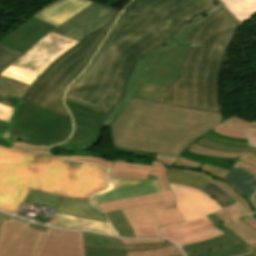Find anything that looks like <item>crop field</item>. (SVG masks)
Wrapping results in <instances>:
<instances>
[{
	"instance_id": "3",
	"label": "crop field",
	"mask_w": 256,
	"mask_h": 256,
	"mask_svg": "<svg viewBox=\"0 0 256 256\" xmlns=\"http://www.w3.org/2000/svg\"><path fill=\"white\" fill-rule=\"evenodd\" d=\"M107 175L108 170L97 166L0 146V210L14 213L29 188L89 199L108 187Z\"/></svg>"
},
{
	"instance_id": "22",
	"label": "crop field",
	"mask_w": 256,
	"mask_h": 256,
	"mask_svg": "<svg viewBox=\"0 0 256 256\" xmlns=\"http://www.w3.org/2000/svg\"><path fill=\"white\" fill-rule=\"evenodd\" d=\"M48 225L63 227V228H74L82 230H92L109 235L117 236L114 230L110 227L109 223L98 222L88 219L77 218L69 215L55 213Z\"/></svg>"
},
{
	"instance_id": "56",
	"label": "crop field",
	"mask_w": 256,
	"mask_h": 256,
	"mask_svg": "<svg viewBox=\"0 0 256 256\" xmlns=\"http://www.w3.org/2000/svg\"><path fill=\"white\" fill-rule=\"evenodd\" d=\"M249 142H250V144L256 146V135L255 136H249Z\"/></svg>"
},
{
	"instance_id": "21",
	"label": "crop field",
	"mask_w": 256,
	"mask_h": 256,
	"mask_svg": "<svg viewBox=\"0 0 256 256\" xmlns=\"http://www.w3.org/2000/svg\"><path fill=\"white\" fill-rule=\"evenodd\" d=\"M84 236L85 246L120 248L125 249L126 252L163 248L172 245V243L170 242H162L155 244H123L121 239H115L109 236L89 232H84Z\"/></svg>"
},
{
	"instance_id": "7",
	"label": "crop field",
	"mask_w": 256,
	"mask_h": 256,
	"mask_svg": "<svg viewBox=\"0 0 256 256\" xmlns=\"http://www.w3.org/2000/svg\"><path fill=\"white\" fill-rule=\"evenodd\" d=\"M135 238L149 239L162 237L158 228L183 222L184 219L175 203H157L123 209Z\"/></svg>"
},
{
	"instance_id": "55",
	"label": "crop field",
	"mask_w": 256,
	"mask_h": 256,
	"mask_svg": "<svg viewBox=\"0 0 256 256\" xmlns=\"http://www.w3.org/2000/svg\"><path fill=\"white\" fill-rule=\"evenodd\" d=\"M165 240H158V241H137V240H123L124 243H154V242H162Z\"/></svg>"
},
{
	"instance_id": "17",
	"label": "crop field",
	"mask_w": 256,
	"mask_h": 256,
	"mask_svg": "<svg viewBox=\"0 0 256 256\" xmlns=\"http://www.w3.org/2000/svg\"><path fill=\"white\" fill-rule=\"evenodd\" d=\"M186 150L209 156L235 158L237 159L235 165L241 166L256 177V148L220 146L200 137Z\"/></svg>"
},
{
	"instance_id": "46",
	"label": "crop field",
	"mask_w": 256,
	"mask_h": 256,
	"mask_svg": "<svg viewBox=\"0 0 256 256\" xmlns=\"http://www.w3.org/2000/svg\"><path fill=\"white\" fill-rule=\"evenodd\" d=\"M210 221L218 228H220L222 231H224L226 234H228L229 236H231L232 238H234L235 240H237L238 242H240L241 244H243L244 246H249L248 244H246L238 235H236L234 232H232L231 230L225 228L223 226V224L220 222V220L217 218V216L212 213L210 215L207 216Z\"/></svg>"
},
{
	"instance_id": "29",
	"label": "crop field",
	"mask_w": 256,
	"mask_h": 256,
	"mask_svg": "<svg viewBox=\"0 0 256 256\" xmlns=\"http://www.w3.org/2000/svg\"><path fill=\"white\" fill-rule=\"evenodd\" d=\"M170 184L188 185L198 189H203L211 181L201 175L188 173L180 170H170L168 173Z\"/></svg>"
},
{
	"instance_id": "44",
	"label": "crop field",
	"mask_w": 256,
	"mask_h": 256,
	"mask_svg": "<svg viewBox=\"0 0 256 256\" xmlns=\"http://www.w3.org/2000/svg\"><path fill=\"white\" fill-rule=\"evenodd\" d=\"M22 52L0 45V72L9 66Z\"/></svg>"
},
{
	"instance_id": "25",
	"label": "crop field",
	"mask_w": 256,
	"mask_h": 256,
	"mask_svg": "<svg viewBox=\"0 0 256 256\" xmlns=\"http://www.w3.org/2000/svg\"><path fill=\"white\" fill-rule=\"evenodd\" d=\"M65 104L73 115L74 125L92 128L98 131L103 130L104 126L101 124L108 117V114L80 106L67 100H65Z\"/></svg>"
},
{
	"instance_id": "11",
	"label": "crop field",
	"mask_w": 256,
	"mask_h": 256,
	"mask_svg": "<svg viewBox=\"0 0 256 256\" xmlns=\"http://www.w3.org/2000/svg\"><path fill=\"white\" fill-rule=\"evenodd\" d=\"M116 12V10L93 3L52 32L79 41L87 34L101 27Z\"/></svg>"
},
{
	"instance_id": "33",
	"label": "crop field",
	"mask_w": 256,
	"mask_h": 256,
	"mask_svg": "<svg viewBox=\"0 0 256 256\" xmlns=\"http://www.w3.org/2000/svg\"><path fill=\"white\" fill-rule=\"evenodd\" d=\"M61 199V196L42 193L30 189L23 203L32 205V203L35 202L40 205H45L54 209H58Z\"/></svg>"
},
{
	"instance_id": "57",
	"label": "crop field",
	"mask_w": 256,
	"mask_h": 256,
	"mask_svg": "<svg viewBox=\"0 0 256 256\" xmlns=\"http://www.w3.org/2000/svg\"><path fill=\"white\" fill-rule=\"evenodd\" d=\"M11 218H12V216L6 215L4 213H0V224H1L2 219H11Z\"/></svg>"
},
{
	"instance_id": "48",
	"label": "crop field",
	"mask_w": 256,
	"mask_h": 256,
	"mask_svg": "<svg viewBox=\"0 0 256 256\" xmlns=\"http://www.w3.org/2000/svg\"><path fill=\"white\" fill-rule=\"evenodd\" d=\"M226 213L232 220V222L238 220L239 218H242L246 216L244 212L241 210L238 204L231 205L227 208H225Z\"/></svg>"
},
{
	"instance_id": "58",
	"label": "crop field",
	"mask_w": 256,
	"mask_h": 256,
	"mask_svg": "<svg viewBox=\"0 0 256 256\" xmlns=\"http://www.w3.org/2000/svg\"><path fill=\"white\" fill-rule=\"evenodd\" d=\"M248 249L254 254L256 255V244L255 245H252L250 247H248Z\"/></svg>"
},
{
	"instance_id": "30",
	"label": "crop field",
	"mask_w": 256,
	"mask_h": 256,
	"mask_svg": "<svg viewBox=\"0 0 256 256\" xmlns=\"http://www.w3.org/2000/svg\"><path fill=\"white\" fill-rule=\"evenodd\" d=\"M241 22L256 13V0H221Z\"/></svg>"
},
{
	"instance_id": "60",
	"label": "crop field",
	"mask_w": 256,
	"mask_h": 256,
	"mask_svg": "<svg viewBox=\"0 0 256 256\" xmlns=\"http://www.w3.org/2000/svg\"><path fill=\"white\" fill-rule=\"evenodd\" d=\"M147 179L157 180L156 176L148 175Z\"/></svg>"
},
{
	"instance_id": "31",
	"label": "crop field",
	"mask_w": 256,
	"mask_h": 256,
	"mask_svg": "<svg viewBox=\"0 0 256 256\" xmlns=\"http://www.w3.org/2000/svg\"><path fill=\"white\" fill-rule=\"evenodd\" d=\"M173 249H178V247L173 245V246L163 248V249L141 251V252H131V253H125L124 250H120V249L85 247V256H140V255L153 254V253L167 251V250H173ZM180 256H182V255H180Z\"/></svg>"
},
{
	"instance_id": "18",
	"label": "crop field",
	"mask_w": 256,
	"mask_h": 256,
	"mask_svg": "<svg viewBox=\"0 0 256 256\" xmlns=\"http://www.w3.org/2000/svg\"><path fill=\"white\" fill-rule=\"evenodd\" d=\"M53 28L55 26L43 20L32 18L1 40L0 44L24 52Z\"/></svg>"
},
{
	"instance_id": "12",
	"label": "crop field",
	"mask_w": 256,
	"mask_h": 256,
	"mask_svg": "<svg viewBox=\"0 0 256 256\" xmlns=\"http://www.w3.org/2000/svg\"><path fill=\"white\" fill-rule=\"evenodd\" d=\"M35 256H84L82 232L47 229Z\"/></svg>"
},
{
	"instance_id": "42",
	"label": "crop field",
	"mask_w": 256,
	"mask_h": 256,
	"mask_svg": "<svg viewBox=\"0 0 256 256\" xmlns=\"http://www.w3.org/2000/svg\"><path fill=\"white\" fill-rule=\"evenodd\" d=\"M151 166H154L150 174L157 175L160 190H169L170 186L168 184L167 172L171 169L157 161L154 160Z\"/></svg>"
},
{
	"instance_id": "34",
	"label": "crop field",
	"mask_w": 256,
	"mask_h": 256,
	"mask_svg": "<svg viewBox=\"0 0 256 256\" xmlns=\"http://www.w3.org/2000/svg\"><path fill=\"white\" fill-rule=\"evenodd\" d=\"M106 216L121 237L134 238L133 231L121 210L106 213Z\"/></svg>"
},
{
	"instance_id": "61",
	"label": "crop field",
	"mask_w": 256,
	"mask_h": 256,
	"mask_svg": "<svg viewBox=\"0 0 256 256\" xmlns=\"http://www.w3.org/2000/svg\"><path fill=\"white\" fill-rule=\"evenodd\" d=\"M244 256H254L252 253H249L247 255H244Z\"/></svg>"
},
{
	"instance_id": "1",
	"label": "crop field",
	"mask_w": 256,
	"mask_h": 256,
	"mask_svg": "<svg viewBox=\"0 0 256 256\" xmlns=\"http://www.w3.org/2000/svg\"><path fill=\"white\" fill-rule=\"evenodd\" d=\"M215 7L202 0H133L65 99L110 114L125 95L136 62Z\"/></svg>"
},
{
	"instance_id": "40",
	"label": "crop field",
	"mask_w": 256,
	"mask_h": 256,
	"mask_svg": "<svg viewBox=\"0 0 256 256\" xmlns=\"http://www.w3.org/2000/svg\"><path fill=\"white\" fill-rule=\"evenodd\" d=\"M202 191L206 192L213 199H215L222 208L236 203V201L232 199L227 193L212 183L205 187Z\"/></svg>"
},
{
	"instance_id": "23",
	"label": "crop field",
	"mask_w": 256,
	"mask_h": 256,
	"mask_svg": "<svg viewBox=\"0 0 256 256\" xmlns=\"http://www.w3.org/2000/svg\"><path fill=\"white\" fill-rule=\"evenodd\" d=\"M238 194L245 197L256 211L251 202V196L256 192V178L246 170L233 166L228 174L223 178Z\"/></svg>"
},
{
	"instance_id": "5",
	"label": "crop field",
	"mask_w": 256,
	"mask_h": 256,
	"mask_svg": "<svg viewBox=\"0 0 256 256\" xmlns=\"http://www.w3.org/2000/svg\"><path fill=\"white\" fill-rule=\"evenodd\" d=\"M119 14L120 11L101 28L83 38L77 45L55 60L30 86L21 100L71 117L62 102L64 90L86 67Z\"/></svg>"
},
{
	"instance_id": "32",
	"label": "crop field",
	"mask_w": 256,
	"mask_h": 256,
	"mask_svg": "<svg viewBox=\"0 0 256 256\" xmlns=\"http://www.w3.org/2000/svg\"><path fill=\"white\" fill-rule=\"evenodd\" d=\"M174 167L200 170V171L206 172L208 175H210L212 177H215V178H218L220 180L228 172V170H224V169L217 168V167L207 165V164H203V163L189 161V160H186V159L181 158V157L177 160Z\"/></svg>"
},
{
	"instance_id": "19",
	"label": "crop field",
	"mask_w": 256,
	"mask_h": 256,
	"mask_svg": "<svg viewBox=\"0 0 256 256\" xmlns=\"http://www.w3.org/2000/svg\"><path fill=\"white\" fill-rule=\"evenodd\" d=\"M61 158H66L74 161H87L96 165L111 169L109 177L111 178H137L146 179L152 167L146 165L129 164L118 161H110L106 159L87 157V156H64L59 155Z\"/></svg>"
},
{
	"instance_id": "2",
	"label": "crop field",
	"mask_w": 256,
	"mask_h": 256,
	"mask_svg": "<svg viewBox=\"0 0 256 256\" xmlns=\"http://www.w3.org/2000/svg\"><path fill=\"white\" fill-rule=\"evenodd\" d=\"M239 25L224 6L196 25L177 78L154 102L221 113L219 78Z\"/></svg>"
},
{
	"instance_id": "27",
	"label": "crop field",
	"mask_w": 256,
	"mask_h": 256,
	"mask_svg": "<svg viewBox=\"0 0 256 256\" xmlns=\"http://www.w3.org/2000/svg\"><path fill=\"white\" fill-rule=\"evenodd\" d=\"M100 132L92 129L81 128L74 126V131L70 139L57 146L49 149L54 150L57 148H89L98 143Z\"/></svg>"
},
{
	"instance_id": "14",
	"label": "crop field",
	"mask_w": 256,
	"mask_h": 256,
	"mask_svg": "<svg viewBox=\"0 0 256 256\" xmlns=\"http://www.w3.org/2000/svg\"><path fill=\"white\" fill-rule=\"evenodd\" d=\"M187 49L172 46L159 54L148 66L142 82L167 87L175 78V73Z\"/></svg>"
},
{
	"instance_id": "35",
	"label": "crop field",
	"mask_w": 256,
	"mask_h": 256,
	"mask_svg": "<svg viewBox=\"0 0 256 256\" xmlns=\"http://www.w3.org/2000/svg\"><path fill=\"white\" fill-rule=\"evenodd\" d=\"M225 227L237 233L249 245L256 243V231L241 219Z\"/></svg>"
},
{
	"instance_id": "41",
	"label": "crop field",
	"mask_w": 256,
	"mask_h": 256,
	"mask_svg": "<svg viewBox=\"0 0 256 256\" xmlns=\"http://www.w3.org/2000/svg\"><path fill=\"white\" fill-rule=\"evenodd\" d=\"M246 252H249V251H247L242 245L238 243L236 245L229 246L217 251H210V252L201 253V254H192L188 256H236V255L244 254Z\"/></svg>"
},
{
	"instance_id": "8",
	"label": "crop field",
	"mask_w": 256,
	"mask_h": 256,
	"mask_svg": "<svg viewBox=\"0 0 256 256\" xmlns=\"http://www.w3.org/2000/svg\"><path fill=\"white\" fill-rule=\"evenodd\" d=\"M46 228L13 217L0 228V256H34Z\"/></svg>"
},
{
	"instance_id": "36",
	"label": "crop field",
	"mask_w": 256,
	"mask_h": 256,
	"mask_svg": "<svg viewBox=\"0 0 256 256\" xmlns=\"http://www.w3.org/2000/svg\"><path fill=\"white\" fill-rule=\"evenodd\" d=\"M29 85L0 75V91L22 98Z\"/></svg>"
},
{
	"instance_id": "37",
	"label": "crop field",
	"mask_w": 256,
	"mask_h": 256,
	"mask_svg": "<svg viewBox=\"0 0 256 256\" xmlns=\"http://www.w3.org/2000/svg\"><path fill=\"white\" fill-rule=\"evenodd\" d=\"M1 75L19 80L21 82L27 83L31 85L38 77L39 75L31 73L26 70L19 69L14 66H10L8 69H6Z\"/></svg>"
},
{
	"instance_id": "28",
	"label": "crop field",
	"mask_w": 256,
	"mask_h": 256,
	"mask_svg": "<svg viewBox=\"0 0 256 256\" xmlns=\"http://www.w3.org/2000/svg\"><path fill=\"white\" fill-rule=\"evenodd\" d=\"M235 243L237 242L228 237L227 235L223 234L207 241L184 245L180 247L182 248L185 255H188L192 253H200L209 250H217L228 245H233Z\"/></svg>"
},
{
	"instance_id": "16",
	"label": "crop field",
	"mask_w": 256,
	"mask_h": 256,
	"mask_svg": "<svg viewBox=\"0 0 256 256\" xmlns=\"http://www.w3.org/2000/svg\"><path fill=\"white\" fill-rule=\"evenodd\" d=\"M160 230L164 238H168L179 245L199 242L223 234L206 217Z\"/></svg>"
},
{
	"instance_id": "15",
	"label": "crop field",
	"mask_w": 256,
	"mask_h": 256,
	"mask_svg": "<svg viewBox=\"0 0 256 256\" xmlns=\"http://www.w3.org/2000/svg\"><path fill=\"white\" fill-rule=\"evenodd\" d=\"M108 190L91 198L93 205L123 198L160 192L158 182L137 179H111Z\"/></svg>"
},
{
	"instance_id": "59",
	"label": "crop field",
	"mask_w": 256,
	"mask_h": 256,
	"mask_svg": "<svg viewBox=\"0 0 256 256\" xmlns=\"http://www.w3.org/2000/svg\"><path fill=\"white\" fill-rule=\"evenodd\" d=\"M253 202H254L255 205H256V193H255L254 196H253ZM251 217H252L254 220H256V213H253V214L251 215Z\"/></svg>"
},
{
	"instance_id": "39",
	"label": "crop field",
	"mask_w": 256,
	"mask_h": 256,
	"mask_svg": "<svg viewBox=\"0 0 256 256\" xmlns=\"http://www.w3.org/2000/svg\"><path fill=\"white\" fill-rule=\"evenodd\" d=\"M212 130L220 135H224L230 138H240V139H247L248 134L250 133V129L236 128L234 126H229L224 122Z\"/></svg>"
},
{
	"instance_id": "49",
	"label": "crop field",
	"mask_w": 256,
	"mask_h": 256,
	"mask_svg": "<svg viewBox=\"0 0 256 256\" xmlns=\"http://www.w3.org/2000/svg\"><path fill=\"white\" fill-rule=\"evenodd\" d=\"M226 122L232 124V125H236V126H240V127H248V128H252V133L251 135H255L256 134V122H247L241 119H238L236 117H231L228 120H226Z\"/></svg>"
},
{
	"instance_id": "45",
	"label": "crop field",
	"mask_w": 256,
	"mask_h": 256,
	"mask_svg": "<svg viewBox=\"0 0 256 256\" xmlns=\"http://www.w3.org/2000/svg\"><path fill=\"white\" fill-rule=\"evenodd\" d=\"M10 149L30 154H48L47 147L32 146L20 141H17Z\"/></svg>"
},
{
	"instance_id": "53",
	"label": "crop field",
	"mask_w": 256,
	"mask_h": 256,
	"mask_svg": "<svg viewBox=\"0 0 256 256\" xmlns=\"http://www.w3.org/2000/svg\"><path fill=\"white\" fill-rule=\"evenodd\" d=\"M177 158L175 157H169V156H163V155H157L156 160H158L159 162L169 166L172 168V165L174 164V162L176 161Z\"/></svg>"
},
{
	"instance_id": "13",
	"label": "crop field",
	"mask_w": 256,
	"mask_h": 256,
	"mask_svg": "<svg viewBox=\"0 0 256 256\" xmlns=\"http://www.w3.org/2000/svg\"><path fill=\"white\" fill-rule=\"evenodd\" d=\"M170 186L176 196V207L185 221L221 209L216 201L198 189L180 185Z\"/></svg>"
},
{
	"instance_id": "51",
	"label": "crop field",
	"mask_w": 256,
	"mask_h": 256,
	"mask_svg": "<svg viewBox=\"0 0 256 256\" xmlns=\"http://www.w3.org/2000/svg\"><path fill=\"white\" fill-rule=\"evenodd\" d=\"M61 151L70 152L71 155H87V156H96L103 158L104 154L90 152L89 149H61Z\"/></svg>"
},
{
	"instance_id": "38",
	"label": "crop field",
	"mask_w": 256,
	"mask_h": 256,
	"mask_svg": "<svg viewBox=\"0 0 256 256\" xmlns=\"http://www.w3.org/2000/svg\"><path fill=\"white\" fill-rule=\"evenodd\" d=\"M181 170H186V171H192V172H196V173H200L203 174L207 177H209L206 173L200 172V171H195V170H188V169H181ZM212 179V181L219 185L220 187H222L224 190H226L230 195H232L237 202L241 205V207L244 209V211L248 214H251L253 212H255L252 207L250 206V204L247 202L246 199H244L243 197L239 196L227 183L223 182V181H219L215 178L209 177Z\"/></svg>"
},
{
	"instance_id": "10",
	"label": "crop field",
	"mask_w": 256,
	"mask_h": 256,
	"mask_svg": "<svg viewBox=\"0 0 256 256\" xmlns=\"http://www.w3.org/2000/svg\"><path fill=\"white\" fill-rule=\"evenodd\" d=\"M76 43L78 42L51 32L29 49L13 65L41 75L55 59Z\"/></svg>"
},
{
	"instance_id": "50",
	"label": "crop field",
	"mask_w": 256,
	"mask_h": 256,
	"mask_svg": "<svg viewBox=\"0 0 256 256\" xmlns=\"http://www.w3.org/2000/svg\"><path fill=\"white\" fill-rule=\"evenodd\" d=\"M19 101L20 98L18 97L0 92V103L2 104L15 108Z\"/></svg>"
},
{
	"instance_id": "26",
	"label": "crop field",
	"mask_w": 256,
	"mask_h": 256,
	"mask_svg": "<svg viewBox=\"0 0 256 256\" xmlns=\"http://www.w3.org/2000/svg\"><path fill=\"white\" fill-rule=\"evenodd\" d=\"M57 212L107 222L103 214L94 208L87 199L63 197Z\"/></svg>"
},
{
	"instance_id": "20",
	"label": "crop field",
	"mask_w": 256,
	"mask_h": 256,
	"mask_svg": "<svg viewBox=\"0 0 256 256\" xmlns=\"http://www.w3.org/2000/svg\"><path fill=\"white\" fill-rule=\"evenodd\" d=\"M89 3L85 0H58L39 11L34 17L59 25Z\"/></svg>"
},
{
	"instance_id": "24",
	"label": "crop field",
	"mask_w": 256,
	"mask_h": 256,
	"mask_svg": "<svg viewBox=\"0 0 256 256\" xmlns=\"http://www.w3.org/2000/svg\"><path fill=\"white\" fill-rule=\"evenodd\" d=\"M157 202H175L174 194L171 190L163 191L157 194L145 195L140 197H134L129 199L118 200L105 204L96 205V207L102 212L106 213L113 210L149 204Z\"/></svg>"
},
{
	"instance_id": "9",
	"label": "crop field",
	"mask_w": 256,
	"mask_h": 256,
	"mask_svg": "<svg viewBox=\"0 0 256 256\" xmlns=\"http://www.w3.org/2000/svg\"><path fill=\"white\" fill-rule=\"evenodd\" d=\"M211 4H214L218 6L217 8L213 9L210 12H207L195 19H193L191 22H189L185 28L180 31L178 34H176L172 39H170L167 43H165L163 46H161L159 49L145 57L144 59L137 62L136 67L133 71V74L127 84L126 87V95L122 98L120 103L117 105V107L113 110V112L110 114V116L106 119V121L103 123V125H106L108 127L111 126L114 119L118 116V114L124 109V107L127 105V103L130 101V99L134 96L137 89L139 88L142 78L144 76L145 70L149 63L162 51L170 48L172 45L175 46H181V47H188V44H186L194 26L201 22L203 19L208 17L210 14H212L214 11L219 9L223 4L219 2L218 0H204Z\"/></svg>"
},
{
	"instance_id": "47",
	"label": "crop field",
	"mask_w": 256,
	"mask_h": 256,
	"mask_svg": "<svg viewBox=\"0 0 256 256\" xmlns=\"http://www.w3.org/2000/svg\"><path fill=\"white\" fill-rule=\"evenodd\" d=\"M202 137L210 142L217 143L220 145H228V146H232V147H252L249 145V143L231 142V141L215 138L214 136H212L208 133Z\"/></svg>"
},
{
	"instance_id": "4",
	"label": "crop field",
	"mask_w": 256,
	"mask_h": 256,
	"mask_svg": "<svg viewBox=\"0 0 256 256\" xmlns=\"http://www.w3.org/2000/svg\"><path fill=\"white\" fill-rule=\"evenodd\" d=\"M222 121L218 113L132 98L110 131L114 146L179 158L194 140Z\"/></svg>"
},
{
	"instance_id": "52",
	"label": "crop field",
	"mask_w": 256,
	"mask_h": 256,
	"mask_svg": "<svg viewBox=\"0 0 256 256\" xmlns=\"http://www.w3.org/2000/svg\"><path fill=\"white\" fill-rule=\"evenodd\" d=\"M13 108L0 104V120L9 121Z\"/></svg>"
},
{
	"instance_id": "6",
	"label": "crop field",
	"mask_w": 256,
	"mask_h": 256,
	"mask_svg": "<svg viewBox=\"0 0 256 256\" xmlns=\"http://www.w3.org/2000/svg\"><path fill=\"white\" fill-rule=\"evenodd\" d=\"M71 130V118L20 101L9 123L0 121V145L10 148L21 140L50 147L65 141Z\"/></svg>"
},
{
	"instance_id": "43",
	"label": "crop field",
	"mask_w": 256,
	"mask_h": 256,
	"mask_svg": "<svg viewBox=\"0 0 256 256\" xmlns=\"http://www.w3.org/2000/svg\"><path fill=\"white\" fill-rule=\"evenodd\" d=\"M164 89V87L142 83L134 97L154 101Z\"/></svg>"
},
{
	"instance_id": "54",
	"label": "crop field",
	"mask_w": 256,
	"mask_h": 256,
	"mask_svg": "<svg viewBox=\"0 0 256 256\" xmlns=\"http://www.w3.org/2000/svg\"><path fill=\"white\" fill-rule=\"evenodd\" d=\"M215 214L218 216V218L221 220V222L223 224L231 223V220L229 219V217L225 213L224 209L215 212Z\"/></svg>"
}]
</instances>
